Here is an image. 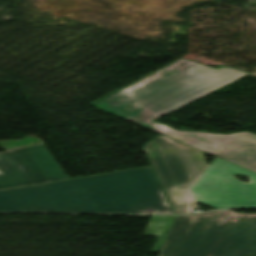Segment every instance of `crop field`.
Returning <instances> with one entry per match:
<instances>
[{"label":"crop field","mask_w":256,"mask_h":256,"mask_svg":"<svg viewBox=\"0 0 256 256\" xmlns=\"http://www.w3.org/2000/svg\"><path fill=\"white\" fill-rule=\"evenodd\" d=\"M248 74L181 59L92 105L256 172L254 134L177 131L152 121Z\"/></svg>","instance_id":"8a807250"},{"label":"crop field","mask_w":256,"mask_h":256,"mask_svg":"<svg viewBox=\"0 0 256 256\" xmlns=\"http://www.w3.org/2000/svg\"><path fill=\"white\" fill-rule=\"evenodd\" d=\"M173 214L150 167L0 191V211Z\"/></svg>","instance_id":"ac0d7876"},{"label":"crop field","mask_w":256,"mask_h":256,"mask_svg":"<svg viewBox=\"0 0 256 256\" xmlns=\"http://www.w3.org/2000/svg\"><path fill=\"white\" fill-rule=\"evenodd\" d=\"M256 256V214L176 216L159 256Z\"/></svg>","instance_id":"34b2d1b8"},{"label":"crop field","mask_w":256,"mask_h":256,"mask_svg":"<svg viewBox=\"0 0 256 256\" xmlns=\"http://www.w3.org/2000/svg\"><path fill=\"white\" fill-rule=\"evenodd\" d=\"M143 148L175 213L198 209L189 189L208 166L202 152L163 135Z\"/></svg>","instance_id":"412701ff"},{"label":"crop field","mask_w":256,"mask_h":256,"mask_svg":"<svg viewBox=\"0 0 256 256\" xmlns=\"http://www.w3.org/2000/svg\"><path fill=\"white\" fill-rule=\"evenodd\" d=\"M233 175L250 178V183ZM190 190L197 202L217 209L256 207V173L217 157Z\"/></svg>","instance_id":"f4fd0767"},{"label":"crop field","mask_w":256,"mask_h":256,"mask_svg":"<svg viewBox=\"0 0 256 256\" xmlns=\"http://www.w3.org/2000/svg\"><path fill=\"white\" fill-rule=\"evenodd\" d=\"M65 179L44 145L0 153V189Z\"/></svg>","instance_id":"dd49c442"}]
</instances>
